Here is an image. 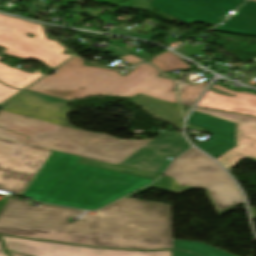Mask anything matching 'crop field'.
<instances>
[{"mask_svg": "<svg viewBox=\"0 0 256 256\" xmlns=\"http://www.w3.org/2000/svg\"><path fill=\"white\" fill-rule=\"evenodd\" d=\"M95 2H100V3H106V4H115L116 2L124 1V0H94Z\"/></svg>", "mask_w": 256, "mask_h": 256, "instance_id": "crop-field-22", "label": "crop field"}, {"mask_svg": "<svg viewBox=\"0 0 256 256\" xmlns=\"http://www.w3.org/2000/svg\"><path fill=\"white\" fill-rule=\"evenodd\" d=\"M174 256H198V255L180 251V250H174Z\"/></svg>", "mask_w": 256, "mask_h": 256, "instance_id": "crop-field-21", "label": "crop field"}, {"mask_svg": "<svg viewBox=\"0 0 256 256\" xmlns=\"http://www.w3.org/2000/svg\"><path fill=\"white\" fill-rule=\"evenodd\" d=\"M188 124L208 130L212 138L209 142H201L198 148L211 154L214 158L222 155L235 146V124L205 114L192 111Z\"/></svg>", "mask_w": 256, "mask_h": 256, "instance_id": "crop-field-11", "label": "crop field"}, {"mask_svg": "<svg viewBox=\"0 0 256 256\" xmlns=\"http://www.w3.org/2000/svg\"><path fill=\"white\" fill-rule=\"evenodd\" d=\"M173 244L175 249L196 253L201 256H232L202 242L173 240Z\"/></svg>", "mask_w": 256, "mask_h": 256, "instance_id": "crop-field-15", "label": "crop field"}, {"mask_svg": "<svg viewBox=\"0 0 256 256\" xmlns=\"http://www.w3.org/2000/svg\"><path fill=\"white\" fill-rule=\"evenodd\" d=\"M83 65V60L73 57L57 68V73L44 77L27 90L66 100L95 95L132 97L142 93L177 103L176 94L170 92L176 86L174 81L158 77L160 72L149 64L137 66L125 77L115 71Z\"/></svg>", "mask_w": 256, "mask_h": 256, "instance_id": "crop-field-4", "label": "crop field"}, {"mask_svg": "<svg viewBox=\"0 0 256 256\" xmlns=\"http://www.w3.org/2000/svg\"><path fill=\"white\" fill-rule=\"evenodd\" d=\"M12 99V98H11ZM68 102L23 91L0 110V126L30 137L28 144L162 174L191 145L182 134L154 140H121L83 131L65 123Z\"/></svg>", "mask_w": 256, "mask_h": 256, "instance_id": "crop-field-2", "label": "crop field"}, {"mask_svg": "<svg viewBox=\"0 0 256 256\" xmlns=\"http://www.w3.org/2000/svg\"><path fill=\"white\" fill-rule=\"evenodd\" d=\"M171 176L172 192L205 189L219 215L243 203L242 196L224 171L210 158L192 148L173 162L164 174Z\"/></svg>", "mask_w": 256, "mask_h": 256, "instance_id": "crop-field-6", "label": "crop field"}, {"mask_svg": "<svg viewBox=\"0 0 256 256\" xmlns=\"http://www.w3.org/2000/svg\"><path fill=\"white\" fill-rule=\"evenodd\" d=\"M195 111L238 123L236 146L217 158L227 169L243 158L256 161V118L195 108Z\"/></svg>", "mask_w": 256, "mask_h": 256, "instance_id": "crop-field-10", "label": "crop field"}, {"mask_svg": "<svg viewBox=\"0 0 256 256\" xmlns=\"http://www.w3.org/2000/svg\"><path fill=\"white\" fill-rule=\"evenodd\" d=\"M29 32L35 38L25 34ZM0 46L7 48L4 53L26 58H35L46 63L49 67H56L71 55L62 54L67 48L56 40L46 39L41 24H35L0 14ZM1 58V56H0ZM44 74L37 69L32 74L7 64L0 63V80L8 85L23 89Z\"/></svg>", "mask_w": 256, "mask_h": 256, "instance_id": "crop-field-5", "label": "crop field"}, {"mask_svg": "<svg viewBox=\"0 0 256 256\" xmlns=\"http://www.w3.org/2000/svg\"><path fill=\"white\" fill-rule=\"evenodd\" d=\"M120 59H122V60H124V61H126V62H128V63H130L132 65L142 61L141 59H138V58H136V57H134L132 55H128V56L122 57Z\"/></svg>", "mask_w": 256, "mask_h": 256, "instance_id": "crop-field-20", "label": "crop field"}, {"mask_svg": "<svg viewBox=\"0 0 256 256\" xmlns=\"http://www.w3.org/2000/svg\"><path fill=\"white\" fill-rule=\"evenodd\" d=\"M8 202L7 199H4L1 203H0V211L2 210V208L5 206V204Z\"/></svg>", "mask_w": 256, "mask_h": 256, "instance_id": "crop-field-23", "label": "crop field"}, {"mask_svg": "<svg viewBox=\"0 0 256 256\" xmlns=\"http://www.w3.org/2000/svg\"><path fill=\"white\" fill-rule=\"evenodd\" d=\"M213 87L236 96H221L213 93L211 90H208L202 100L198 103V107L256 116V95L245 92L237 93L228 91L226 88L219 85H213Z\"/></svg>", "mask_w": 256, "mask_h": 256, "instance_id": "crop-field-12", "label": "crop field"}, {"mask_svg": "<svg viewBox=\"0 0 256 256\" xmlns=\"http://www.w3.org/2000/svg\"><path fill=\"white\" fill-rule=\"evenodd\" d=\"M19 89H14L0 82V103L8 99L10 96L18 92Z\"/></svg>", "mask_w": 256, "mask_h": 256, "instance_id": "crop-field-19", "label": "crop field"}, {"mask_svg": "<svg viewBox=\"0 0 256 256\" xmlns=\"http://www.w3.org/2000/svg\"><path fill=\"white\" fill-rule=\"evenodd\" d=\"M244 1L245 0H151L148 6L190 25L198 21L215 26Z\"/></svg>", "mask_w": 256, "mask_h": 256, "instance_id": "crop-field-8", "label": "crop field"}, {"mask_svg": "<svg viewBox=\"0 0 256 256\" xmlns=\"http://www.w3.org/2000/svg\"><path fill=\"white\" fill-rule=\"evenodd\" d=\"M131 100L157 118L182 130L183 118L179 105L161 102L144 95Z\"/></svg>", "mask_w": 256, "mask_h": 256, "instance_id": "crop-field-14", "label": "crop field"}, {"mask_svg": "<svg viewBox=\"0 0 256 256\" xmlns=\"http://www.w3.org/2000/svg\"><path fill=\"white\" fill-rule=\"evenodd\" d=\"M212 31L237 33L256 37V2L248 0Z\"/></svg>", "mask_w": 256, "mask_h": 256, "instance_id": "crop-field-13", "label": "crop field"}, {"mask_svg": "<svg viewBox=\"0 0 256 256\" xmlns=\"http://www.w3.org/2000/svg\"><path fill=\"white\" fill-rule=\"evenodd\" d=\"M80 158L53 151L23 195L36 201L94 210L152 182L76 163Z\"/></svg>", "mask_w": 256, "mask_h": 256, "instance_id": "crop-field-3", "label": "crop field"}, {"mask_svg": "<svg viewBox=\"0 0 256 256\" xmlns=\"http://www.w3.org/2000/svg\"><path fill=\"white\" fill-rule=\"evenodd\" d=\"M7 253L11 256H24V255H20V254H16V253H13V252H9L7 251Z\"/></svg>", "mask_w": 256, "mask_h": 256, "instance_id": "crop-field-25", "label": "crop field"}, {"mask_svg": "<svg viewBox=\"0 0 256 256\" xmlns=\"http://www.w3.org/2000/svg\"><path fill=\"white\" fill-rule=\"evenodd\" d=\"M51 150L0 139V189L23 194Z\"/></svg>", "mask_w": 256, "mask_h": 256, "instance_id": "crop-field-7", "label": "crop field"}, {"mask_svg": "<svg viewBox=\"0 0 256 256\" xmlns=\"http://www.w3.org/2000/svg\"><path fill=\"white\" fill-rule=\"evenodd\" d=\"M140 57H141V59H143V60H147V59H149V58H151L149 55H146V54H142V55H140Z\"/></svg>", "mask_w": 256, "mask_h": 256, "instance_id": "crop-field-24", "label": "crop field"}, {"mask_svg": "<svg viewBox=\"0 0 256 256\" xmlns=\"http://www.w3.org/2000/svg\"><path fill=\"white\" fill-rule=\"evenodd\" d=\"M0 138L26 143L28 137L0 128Z\"/></svg>", "mask_w": 256, "mask_h": 256, "instance_id": "crop-field-18", "label": "crop field"}, {"mask_svg": "<svg viewBox=\"0 0 256 256\" xmlns=\"http://www.w3.org/2000/svg\"><path fill=\"white\" fill-rule=\"evenodd\" d=\"M0 256H7L6 254H4V253L2 252L1 245H0Z\"/></svg>", "mask_w": 256, "mask_h": 256, "instance_id": "crop-field-26", "label": "crop field"}, {"mask_svg": "<svg viewBox=\"0 0 256 256\" xmlns=\"http://www.w3.org/2000/svg\"><path fill=\"white\" fill-rule=\"evenodd\" d=\"M5 248L30 256H171L172 250L140 252L120 249H95L40 242L4 236Z\"/></svg>", "mask_w": 256, "mask_h": 256, "instance_id": "crop-field-9", "label": "crop field"}, {"mask_svg": "<svg viewBox=\"0 0 256 256\" xmlns=\"http://www.w3.org/2000/svg\"><path fill=\"white\" fill-rule=\"evenodd\" d=\"M151 187L171 192L170 177L72 224L67 219L83 211L10 199L0 213V233L94 247L173 248L170 206L129 199Z\"/></svg>", "mask_w": 256, "mask_h": 256, "instance_id": "crop-field-1", "label": "crop field"}, {"mask_svg": "<svg viewBox=\"0 0 256 256\" xmlns=\"http://www.w3.org/2000/svg\"><path fill=\"white\" fill-rule=\"evenodd\" d=\"M180 59L181 58L167 51L151 59L150 62L164 72L174 69H184L190 67L184 62H182Z\"/></svg>", "mask_w": 256, "mask_h": 256, "instance_id": "crop-field-16", "label": "crop field"}, {"mask_svg": "<svg viewBox=\"0 0 256 256\" xmlns=\"http://www.w3.org/2000/svg\"><path fill=\"white\" fill-rule=\"evenodd\" d=\"M207 81H204L198 85L183 84L179 87V99L181 104L192 106L196 99L201 94Z\"/></svg>", "mask_w": 256, "mask_h": 256, "instance_id": "crop-field-17", "label": "crop field"}]
</instances>
